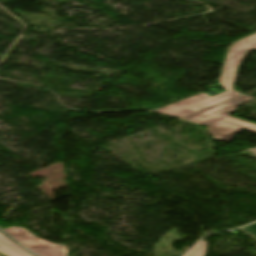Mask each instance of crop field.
Returning <instances> with one entry per match:
<instances>
[{"instance_id": "crop-field-8", "label": "crop field", "mask_w": 256, "mask_h": 256, "mask_svg": "<svg viewBox=\"0 0 256 256\" xmlns=\"http://www.w3.org/2000/svg\"><path fill=\"white\" fill-rule=\"evenodd\" d=\"M253 153L256 154V150L254 148L250 149Z\"/></svg>"}, {"instance_id": "crop-field-9", "label": "crop field", "mask_w": 256, "mask_h": 256, "mask_svg": "<svg viewBox=\"0 0 256 256\" xmlns=\"http://www.w3.org/2000/svg\"><path fill=\"white\" fill-rule=\"evenodd\" d=\"M256 149V148H255Z\"/></svg>"}, {"instance_id": "crop-field-4", "label": "crop field", "mask_w": 256, "mask_h": 256, "mask_svg": "<svg viewBox=\"0 0 256 256\" xmlns=\"http://www.w3.org/2000/svg\"><path fill=\"white\" fill-rule=\"evenodd\" d=\"M242 128L256 132V125L230 117H224L208 124L207 131L214 136L213 139L230 142L236 133L241 132Z\"/></svg>"}, {"instance_id": "crop-field-5", "label": "crop field", "mask_w": 256, "mask_h": 256, "mask_svg": "<svg viewBox=\"0 0 256 256\" xmlns=\"http://www.w3.org/2000/svg\"><path fill=\"white\" fill-rule=\"evenodd\" d=\"M0 253L5 256H31L0 232Z\"/></svg>"}, {"instance_id": "crop-field-2", "label": "crop field", "mask_w": 256, "mask_h": 256, "mask_svg": "<svg viewBox=\"0 0 256 256\" xmlns=\"http://www.w3.org/2000/svg\"><path fill=\"white\" fill-rule=\"evenodd\" d=\"M9 235L14 237L32 252L41 256H66L63 247L37 238L24 228L6 227L4 229Z\"/></svg>"}, {"instance_id": "crop-field-1", "label": "crop field", "mask_w": 256, "mask_h": 256, "mask_svg": "<svg viewBox=\"0 0 256 256\" xmlns=\"http://www.w3.org/2000/svg\"><path fill=\"white\" fill-rule=\"evenodd\" d=\"M250 49H256V33L241 38L233 42L228 47L225 62L219 78V83L222 84L228 92L212 98L202 93L177 104L155 110V112L169 116L183 117L205 107L240 95L239 93L233 91L231 87L234 81L237 66L242 60L245 52Z\"/></svg>"}, {"instance_id": "crop-field-3", "label": "crop field", "mask_w": 256, "mask_h": 256, "mask_svg": "<svg viewBox=\"0 0 256 256\" xmlns=\"http://www.w3.org/2000/svg\"><path fill=\"white\" fill-rule=\"evenodd\" d=\"M250 100H252L251 96L240 95L222 103L190 114L188 116H185L182 119L204 124L215 118L222 117L236 111L239 105Z\"/></svg>"}, {"instance_id": "crop-field-6", "label": "crop field", "mask_w": 256, "mask_h": 256, "mask_svg": "<svg viewBox=\"0 0 256 256\" xmlns=\"http://www.w3.org/2000/svg\"><path fill=\"white\" fill-rule=\"evenodd\" d=\"M206 252H207V242L200 241L184 256H205Z\"/></svg>"}, {"instance_id": "crop-field-7", "label": "crop field", "mask_w": 256, "mask_h": 256, "mask_svg": "<svg viewBox=\"0 0 256 256\" xmlns=\"http://www.w3.org/2000/svg\"><path fill=\"white\" fill-rule=\"evenodd\" d=\"M245 234L256 240V223L247 225L245 227L239 228Z\"/></svg>"}]
</instances>
